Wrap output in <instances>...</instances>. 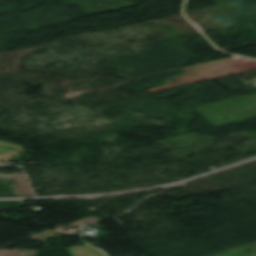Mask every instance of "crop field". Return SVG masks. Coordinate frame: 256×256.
<instances>
[{
	"label": "crop field",
	"instance_id": "crop-field-1",
	"mask_svg": "<svg viewBox=\"0 0 256 256\" xmlns=\"http://www.w3.org/2000/svg\"><path fill=\"white\" fill-rule=\"evenodd\" d=\"M8 148H13L12 150ZM23 150V147L0 141V160L8 161L9 158Z\"/></svg>",
	"mask_w": 256,
	"mask_h": 256
},
{
	"label": "crop field",
	"instance_id": "crop-field-2",
	"mask_svg": "<svg viewBox=\"0 0 256 256\" xmlns=\"http://www.w3.org/2000/svg\"><path fill=\"white\" fill-rule=\"evenodd\" d=\"M69 250L73 256H91V254H93V256H104L96 249L88 246H77L70 248ZM77 251H79L80 253H78Z\"/></svg>",
	"mask_w": 256,
	"mask_h": 256
}]
</instances>
